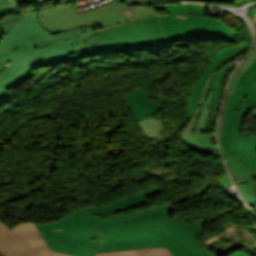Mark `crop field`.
Here are the masks:
<instances>
[{"mask_svg": "<svg viewBox=\"0 0 256 256\" xmlns=\"http://www.w3.org/2000/svg\"><path fill=\"white\" fill-rule=\"evenodd\" d=\"M137 251L139 256H173L166 248H152Z\"/></svg>", "mask_w": 256, "mask_h": 256, "instance_id": "obj_18", "label": "crop field"}, {"mask_svg": "<svg viewBox=\"0 0 256 256\" xmlns=\"http://www.w3.org/2000/svg\"><path fill=\"white\" fill-rule=\"evenodd\" d=\"M214 74H213V76H214ZM213 76L209 79V81L206 85V90H205L203 99H202V101L199 105V106H202L203 108H202V110L200 112V116L198 118V122H197V125H196V128H195V133L206 132V129H207L208 121H209L210 114H211V111H212V110H209L207 108H208V105H209L210 98L213 94V90H209V88L212 84Z\"/></svg>", "mask_w": 256, "mask_h": 256, "instance_id": "obj_14", "label": "crop field"}, {"mask_svg": "<svg viewBox=\"0 0 256 256\" xmlns=\"http://www.w3.org/2000/svg\"><path fill=\"white\" fill-rule=\"evenodd\" d=\"M230 256H246L245 254L241 253L240 251L230 255Z\"/></svg>", "mask_w": 256, "mask_h": 256, "instance_id": "obj_26", "label": "crop field"}, {"mask_svg": "<svg viewBox=\"0 0 256 256\" xmlns=\"http://www.w3.org/2000/svg\"><path fill=\"white\" fill-rule=\"evenodd\" d=\"M148 97L149 92L140 87L128 93L125 98L130 112L137 123L163 109L161 105L149 101Z\"/></svg>", "mask_w": 256, "mask_h": 256, "instance_id": "obj_12", "label": "crop field"}, {"mask_svg": "<svg viewBox=\"0 0 256 256\" xmlns=\"http://www.w3.org/2000/svg\"><path fill=\"white\" fill-rule=\"evenodd\" d=\"M159 192L161 190L156 186L105 206H90L72 211L54 223L34 224L51 250L74 256H93L100 245L96 216L147 204L145 198Z\"/></svg>", "mask_w": 256, "mask_h": 256, "instance_id": "obj_1", "label": "crop field"}, {"mask_svg": "<svg viewBox=\"0 0 256 256\" xmlns=\"http://www.w3.org/2000/svg\"><path fill=\"white\" fill-rule=\"evenodd\" d=\"M0 254L3 256H70L51 251L33 222H17L10 230L1 220Z\"/></svg>", "mask_w": 256, "mask_h": 256, "instance_id": "obj_9", "label": "crop field"}, {"mask_svg": "<svg viewBox=\"0 0 256 256\" xmlns=\"http://www.w3.org/2000/svg\"><path fill=\"white\" fill-rule=\"evenodd\" d=\"M13 20H19L18 17L7 16L0 20V25L13 23Z\"/></svg>", "mask_w": 256, "mask_h": 256, "instance_id": "obj_22", "label": "crop field"}, {"mask_svg": "<svg viewBox=\"0 0 256 256\" xmlns=\"http://www.w3.org/2000/svg\"><path fill=\"white\" fill-rule=\"evenodd\" d=\"M146 25L159 23L158 16L143 18Z\"/></svg>", "mask_w": 256, "mask_h": 256, "instance_id": "obj_23", "label": "crop field"}, {"mask_svg": "<svg viewBox=\"0 0 256 256\" xmlns=\"http://www.w3.org/2000/svg\"><path fill=\"white\" fill-rule=\"evenodd\" d=\"M249 46L246 45L244 42L235 45L231 48L224 49L218 53L215 54V57L211 59V63L207 69H205L204 72H210L216 69L220 64L232 59L236 55L240 54L244 50H246Z\"/></svg>", "mask_w": 256, "mask_h": 256, "instance_id": "obj_15", "label": "crop field"}, {"mask_svg": "<svg viewBox=\"0 0 256 256\" xmlns=\"http://www.w3.org/2000/svg\"><path fill=\"white\" fill-rule=\"evenodd\" d=\"M36 14L19 20L0 41V63L16 61L33 53L40 47L55 42V39L40 28Z\"/></svg>", "mask_w": 256, "mask_h": 256, "instance_id": "obj_8", "label": "crop field"}, {"mask_svg": "<svg viewBox=\"0 0 256 256\" xmlns=\"http://www.w3.org/2000/svg\"><path fill=\"white\" fill-rule=\"evenodd\" d=\"M232 69H233L232 67L226 65L225 68L219 69L214 77L213 84L210 89H215V90L209 106V108L213 109V111H212L207 132H213L216 117L218 114V108L222 98V93L225 87V82L228 78L229 73L232 71Z\"/></svg>", "mask_w": 256, "mask_h": 256, "instance_id": "obj_13", "label": "crop field"}, {"mask_svg": "<svg viewBox=\"0 0 256 256\" xmlns=\"http://www.w3.org/2000/svg\"><path fill=\"white\" fill-rule=\"evenodd\" d=\"M211 74L212 73L202 75L200 79L196 82L194 86V90L187 101V117H186L187 120L193 116L194 111L202 96L206 81L208 80Z\"/></svg>", "mask_w": 256, "mask_h": 256, "instance_id": "obj_16", "label": "crop field"}, {"mask_svg": "<svg viewBox=\"0 0 256 256\" xmlns=\"http://www.w3.org/2000/svg\"><path fill=\"white\" fill-rule=\"evenodd\" d=\"M169 43L219 38L237 43L236 35L218 19L191 14L166 13L160 16Z\"/></svg>", "mask_w": 256, "mask_h": 256, "instance_id": "obj_7", "label": "crop field"}, {"mask_svg": "<svg viewBox=\"0 0 256 256\" xmlns=\"http://www.w3.org/2000/svg\"><path fill=\"white\" fill-rule=\"evenodd\" d=\"M170 203L145 211L133 212L126 215L97 220L100 233L141 228L155 225H163L181 222L187 224L184 219H170Z\"/></svg>", "mask_w": 256, "mask_h": 256, "instance_id": "obj_10", "label": "crop field"}, {"mask_svg": "<svg viewBox=\"0 0 256 256\" xmlns=\"http://www.w3.org/2000/svg\"><path fill=\"white\" fill-rule=\"evenodd\" d=\"M255 58H256V47L252 52L251 56L247 59V61L244 64H242L241 67L238 69V72L244 74L245 71L249 68V66L253 63Z\"/></svg>", "mask_w": 256, "mask_h": 256, "instance_id": "obj_21", "label": "crop field"}, {"mask_svg": "<svg viewBox=\"0 0 256 256\" xmlns=\"http://www.w3.org/2000/svg\"><path fill=\"white\" fill-rule=\"evenodd\" d=\"M107 7V8H105ZM157 15L145 7H129L120 1L77 15L74 3L61 5L43 12L38 17L42 27L52 35L80 27H109L123 21L143 16Z\"/></svg>", "mask_w": 256, "mask_h": 256, "instance_id": "obj_5", "label": "crop field"}, {"mask_svg": "<svg viewBox=\"0 0 256 256\" xmlns=\"http://www.w3.org/2000/svg\"><path fill=\"white\" fill-rule=\"evenodd\" d=\"M94 33L100 36L99 44L94 48L99 55L171 47L160 25L145 26L142 18Z\"/></svg>", "mask_w": 256, "mask_h": 256, "instance_id": "obj_6", "label": "crop field"}, {"mask_svg": "<svg viewBox=\"0 0 256 256\" xmlns=\"http://www.w3.org/2000/svg\"><path fill=\"white\" fill-rule=\"evenodd\" d=\"M155 8L164 10L166 12H181V13H192L204 16L205 6L200 5H161L154 6Z\"/></svg>", "mask_w": 256, "mask_h": 256, "instance_id": "obj_17", "label": "crop field"}, {"mask_svg": "<svg viewBox=\"0 0 256 256\" xmlns=\"http://www.w3.org/2000/svg\"><path fill=\"white\" fill-rule=\"evenodd\" d=\"M11 26L7 27V28H4L2 30H0V38L3 36L4 33L7 32V30L10 28Z\"/></svg>", "mask_w": 256, "mask_h": 256, "instance_id": "obj_25", "label": "crop field"}, {"mask_svg": "<svg viewBox=\"0 0 256 256\" xmlns=\"http://www.w3.org/2000/svg\"><path fill=\"white\" fill-rule=\"evenodd\" d=\"M49 2L48 0L34 1L31 2L35 9L39 8L42 4Z\"/></svg>", "mask_w": 256, "mask_h": 256, "instance_id": "obj_24", "label": "crop field"}, {"mask_svg": "<svg viewBox=\"0 0 256 256\" xmlns=\"http://www.w3.org/2000/svg\"><path fill=\"white\" fill-rule=\"evenodd\" d=\"M246 114L256 116V60L245 75L235 74L218 128L224 157L242 153L256 179V137L240 133L247 121Z\"/></svg>", "mask_w": 256, "mask_h": 256, "instance_id": "obj_2", "label": "crop field"}, {"mask_svg": "<svg viewBox=\"0 0 256 256\" xmlns=\"http://www.w3.org/2000/svg\"><path fill=\"white\" fill-rule=\"evenodd\" d=\"M225 159L245 202L248 205L256 203V182L249 172L242 155Z\"/></svg>", "mask_w": 256, "mask_h": 256, "instance_id": "obj_11", "label": "crop field"}, {"mask_svg": "<svg viewBox=\"0 0 256 256\" xmlns=\"http://www.w3.org/2000/svg\"><path fill=\"white\" fill-rule=\"evenodd\" d=\"M187 1H199V2H207V1H214V0H187Z\"/></svg>", "mask_w": 256, "mask_h": 256, "instance_id": "obj_27", "label": "crop field"}, {"mask_svg": "<svg viewBox=\"0 0 256 256\" xmlns=\"http://www.w3.org/2000/svg\"><path fill=\"white\" fill-rule=\"evenodd\" d=\"M2 1V0H1Z\"/></svg>", "mask_w": 256, "mask_h": 256, "instance_id": "obj_29", "label": "crop field"}, {"mask_svg": "<svg viewBox=\"0 0 256 256\" xmlns=\"http://www.w3.org/2000/svg\"><path fill=\"white\" fill-rule=\"evenodd\" d=\"M90 31H92L91 27L90 28H81V29L70 31V32L54 35V37L56 38L57 41H60V40L70 38V37H73V36H76L79 34H83L86 32H90Z\"/></svg>", "mask_w": 256, "mask_h": 256, "instance_id": "obj_19", "label": "crop field"}, {"mask_svg": "<svg viewBox=\"0 0 256 256\" xmlns=\"http://www.w3.org/2000/svg\"><path fill=\"white\" fill-rule=\"evenodd\" d=\"M94 256H138L136 250L95 254Z\"/></svg>", "mask_w": 256, "mask_h": 256, "instance_id": "obj_20", "label": "crop field"}, {"mask_svg": "<svg viewBox=\"0 0 256 256\" xmlns=\"http://www.w3.org/2000/svg\"><path fill=\"white\" fill-rule=\"evenodd\" d=\"M7 26H9V25H5V26H0V29H2V28H4V27H7Z\"/></svg>", "mask_w": 256, "mask_h": 256, "instance_id": "obj_28", "label": "crop field"}, {"mask_svg": "<svg viewBox=\"0 0 256 256\" xmlns=\"http://www.w3.org/2000/svg\"><path fill=\"white\" fill-rule=\"evenodd\" d=\"M97 39L98 36L93 33L80 35L73 39L43 47L35 54L26 57L7 68L0 65V103L12 96L7 90L22 84L27 79L35 76L30 69L48 61L52 67H54L68 63L74 57L94 55L90 46H95ZM21 66H23V68H21Z\"/></svg>", "mask_w": 256, "mask_h": 256, "instance_id": "obj_4", "label": "crop field"}, {"mask_svg": "<svg viewBox=\"0 0 256 256\" xmlns=\"http://www.w3.org/2000/svg\"><path fill=\"white\" fill-rule=\"evenodd\" d=\"M205 221L103 233L96 253L167 247L174 256H214L194 238L204 231Z\"/></svg>", "mask_w": 256, "mask_h": 256, "instance_id": "obj_3", "label": "crop field"}]
</instances>
